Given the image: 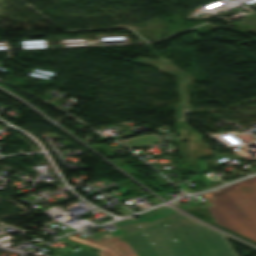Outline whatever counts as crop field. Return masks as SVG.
<instances>
[{
    "label": "crop field",
    "mask_w": 256,
    "mask_h": 256,
    "mask_svg": "<svg viewBox=\"0 0 256 256\" xmlns=\"http://www.w3.org/2000/svg\"><path fill=\"white\" fill-rule=\"evenodd\" d=\"M157 211L187 256H234L220 235L185 219L166 206ZM112 224L125 232L117 236L126 241L138 256H159L135 220L128 218Z\"/></svg>",
    "instance_id": "crop-field-1"
},
{
    "label": "crop field",
    "mask_w": 256,
    "mask_h": 256,
    "mask_svg": "<svg viewBox=\"0 0 256 256\" xmlns=\"http://www.w3.org/2000/svg\"><path fill=\"white\" fill-rule=\"evenodd\" d=\"M200 196L216 223L256 241V177Z\"/></svg>",
    "instance_id": "crop-field-2"
},
{
    "label": "crop field",
    "mask_w": 256,
    "mask_h": 256,
    "mask_svg": "<svg viewBox=\"0 0 256 256\" xmlns=\"http://www.w3.org/2000/svg\"><path fill=\"white\" fill-rule=\"evenodd\" d=\"M67 238L102 249L98 252L100 256H137L127 243L111 233L101 236L97 241L89 237L83 240L72 236Z\"/></svg>",
    "instance_id": "crop-field-3"
},
{
    "label": "crop field",
    "mask_w": 256,
    "mask_h": 256,
    "mask_svg": "<svg viewBox=\"0 0 256 256\" xmlns=\"http://www.w3.org/2000/svg\"><path fill=\"white\" fill-rule=\"evenodd\" d=\"M172 74L177 75L178 77L183 79V81L180 82L181 104L178 105L177 113L175 114L177 119L180 117L181 111L192 110L193 104H186V99H185V93L188 92L187 83L190 82L189 76L183 77L175 72Z\"/></svg>",
    "instance_id": "crop-field-4"
},
{
    "label": "crop field",
    "mask_w": 256,
    "mask_h": 256,
    "mask_svg": "<svg viewBox=\"0 0 256 256\" xmlns=\"http://www.w3.org/2000/svg\"><path fill=\"white\" fill-rule=\"evenodd\" d=\"M68 256H99V254L80 247Z\"/></svg>",
    "instance_id": "crop-field-5"
},
{
    "label": "crop field",
    "mask_w": 256,
    "mask_h": 256,
    "mask_svg": "<svg viewBox=\"0 0 256 256\" xmlns=\"http://www.w3.org/2000/svg\"><path fill=\"white\" fill-rule=\"evenodd\" d=\"M184 111L182 112L181 118L177 119V121H183Z\"/></svg>",
    "instance_id": "crop-field-6"
},
{
    "label": "crop field",
    "mask_w": 256,
    "mask_h": 256,
    "mask_svg": "<svg viewBox=\"0 0 256 256\" xmlns=\"http://www.w3.org/2000/svg\"><path fill=\"white\" fill-rule=\"evenodd\" d=\"M253 162V161H252ZM253 163H255V162H253ZM256 164V163H255Z\"/></svg>",
    "instance_id": "crop-field-7"
}]
</instances>
